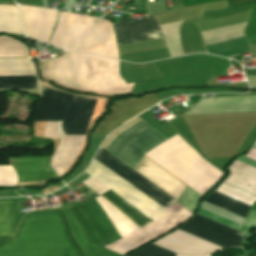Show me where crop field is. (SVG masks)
I'll return each instance as SVG.
<instances>
[{"label":"crop field","instance_id":"obj_19","mask_svg":"<svg viewBox=\"0 0 256 256\" xmlns=\"http://www.w3.org/2000/svg\"><path fill=\"white\" fill-rule=\"evenodd\" d=\"M0 32L23 34L17 6L0 5Z\"/></svg>","mask_w":256,"mask_h":256},{"label":"crop field","instance_id":"obj_27","mask_svg":"<svg viewBox=\"0 0 256 256\" xmlns=\"http://www.w3.org/2000/svg\"><path fill=\"white\" fill-rule=\"evenodd\" d=\"M246 157L256 160V150L251 148L247 153Z\"/></svg>","mask_w":256,"mask_h":256},{"label":"crop field","instance_id":"obj_17","mask_svg":"<svg viewBox=\"0 0 256 256\" xmlns=\"http://www.w3.org/2000/svg\"><path fill=\"white\" fill-rule=\"evenodd\" d=\"M134 170L176 200L187 186L145 155Z\"/></svg>","mask_w":256,"mask_h":256},{"label":"crop field","instance_id":"obj_11","mask_svg":"<svg viewBox=\"0 0 256 256\" xmlns=\"http://www.w3.org/2000/svg\"><path fill=\"white\" fill-rule=\"evenodd\" d=\"M160 100L161 98L157 94H147L140 98L117 100L112 107L111 113L101 121L94 133L107 135L109 132L120 126L122 122Z\"/></svg>","mask_w":256,"mask_h":256},{"label":"crop field","instance_id":"obj_29","mask_svg":"<svg viewBox=\"0 0 256 256\" xmlns=\"http://www.w3.org/2000/svg\"><path fill=\"white\" fill-rule=\"evenodd\" d=\"M233 218V217H232ZM235 219V218H234ZM240 221V220H239ZM242 222V221H241Z\"/></svg>","mask_w":256,"mask_h":256},{"label":"crop field","instance_id":"obj_24","mask_svg":"<svg viewBox=\"0 0 256 256\" xmlns=\"http://www.w3.org/2000/svg\"><path fill=\"white\" fill-rule=\"evenodd\" d=\"M129 256H175V254L150 244Z\"/></svg>","mask_w":256,"mask_h":256},{"label":"crop field","instance_id":"obj_13","mask_svg":"<svg viewBox=\"0 0 256 256\" xmlns=\"http://www.w3.org/2000/svg\"><path fill=\"white\" fill-rule=\"evenodd\" d=\"M113 26L117 46L164 38L153 17L133 23L121 17Z\"/></svg>","mask_w":256,"mask_h":256},{"label":"crop field","instance_id":"obj_20","mask_svg":"<svg viewBox=\"0 0 256 256\" xmlns=\"http://www.w3.org/2000/svg\"><path fill=\"white\" fill-rule=\"evenodd\" d=\"M205 202L210 203L212 205H215L217 207H220L222 209H225L229 212H232L234 214H237L242 217H246L247 212L249 210V206L242 204L238 201H235L229 197H226L222 194H219L215 191H213L205 200Z\"/></svg>","mask_w":256,"mask_h":256},{"label":"crop field","instance_id":"obj_22","mask_svg":"<svg viewBox=\"0 0 256 256\" xmlns=\"http://www.w3.org/2000/svg\"><path fill=\"white\" fill-rule=\"evenodd\" d=\"M14 235L11 201L0 202V236Z\"/></svg>","mask_w":256,"mask_h":256},{"label":"crop field","instance_id":"obj_14","mask_svg":"<svg viewBox=\"0 0 256 256\" xmlns=\"http://www.w3.org/2000/svg\"><path fill=\"white\" fill-rule=\"evenodd\" d=\"M0 75H36L28 59H0ZM36 76H0V89H35Z\"/></svg>","mask_w":256,"mask_h":256},{"label":"crop field","instance_id":"obj_8","mask_svg":"<svg viewBox=\"0 0 256 256\" xmlns=\"http://www.w3.org/2000/svg\"><path fill=\"white\" fill-rule=\"evenodd\" d=\"M165 209H167L169 212L154 220L142 229L156 237L192 214L176 202ZM142 231L140 229L105 248L123 254L152 239Z\"/></svg>","mask_w":256,"mask_h":256},{"label":"crop field","instance_id":"obj_1","mask_svg":"<svg viewBox=\"0 0 256 256\" xmlns=\"http://www.w3.org/2000/svg\"><path fill=\"white\" fill-rule=\"evenodd\" d=\"M140 120L137 117L123 125L110 134L101 146L106 149L117 135ZM153 129L142 120L116 137L106 150L134 169L145 153L168 140ZM190 147L176 135L145 155L201 195L223 172L215 169L213 164L214 167L211 166L209 161L210 164L207 163L205 158L204 161L201 155L200 158L197 151Z\"/></svg>","mask_w":256,"mask_h":256},{"label":"crop field","instance_id":"obj_7","mask_svg":"<svg viewBox=\"0 0 256 256\" xmlns=\"http://www.w3.org/2000/svg\"><path fill=\"white\" fill-rule=\"evenodd\" d=\"M96 199L122 237L140 229L105 199L101 198L100 196L96 197ZM97 201L94 198L84 203L83 206L90 214V216L110 244L120 239L121 236L114 228V226L112 225L102 208L99 206ZM83 206L82 204H80L70 209V212L72 213V215L80 225L81 229L91 242L98 244L102 247L108 245V242L101 234V232L99 231V229L97 228V226L95 225V223Z\"/></svg>","mask_w":256,"mask_h":256},{"label":"crop field","instance_id":"obj_16","mask_svg":"<svg viewBox=\"0 0 256 256\" xmlns=\"http://www.w3.org/2000/svg\"><path fill=\"white\" fill-rule=\"evenodd\" d=\"M25 34L36 40L47 42L55 24L57 10L20 6Z\"/></svg>","mask_w":256,"mask_h":256},{"label":"crop field","instance_id":"obj_25","mask_svg":"<svg viewBox=\"0 0 256 256\" xmlns=\"http://www.w3.org/2000/svg\"><path fill=\"white\" fill-rule=\"evenodd\" d=\"M98 181V180H97ZM95 179H93L92 177L89 178L88 180H86L85 183L87 186H89L90 188H92L94 191H96L98 194H102L103 192L109 190L106 187H104L102 184H100L99 182H97Z\"/></svg>","mask_w":256,"mask_h":256},{"label":"crop field","instance_id":"obj_6","mask_svg":"<svg viewBox=\"0 0 256 256\" xmlns=\"http://www.w3.org/2000/svg\"><path fill=\"white\" fill-rule=\"evenodd\" d=\"M97 101L43 86L33 121H63L65 134H85Z\"/></svg>","mask_w":256,"mask_h":256},{"label":"crop field","instance_id":"obj_26","mask_svg":"<svg viewBox=\"0 0 256 256\" xmlns=\"http://www.w3.org/2000/svg\"><path fill=\"white\" fill-rule=\"evenodd\" d=\"M253 1H255V0H228V3H229V7H231V6L249 3V2H253Z\"/></svg>","mask_w":256,"mask_h":256},{"label":"crop field","instance_id":"obj_23","mask_svg":"<svg viewBox=\"0 0 256 256\" xmlns=\"http://www.w3.org/2000/svg\"><path fill=\"white\" fill-rule=\"evenodd\" d=\"M25 56L23 44L7 36H0V57Z\"/></svg>","mask_w":256,"mask_h":256},{"label":"crop field","instance_id":"obj_18","mask_svg":"<svg viewBox=\"0 0 256 256\" xmlns=\"http://www.w3.org/2000/svg\"><path fill=\"white\" fill-rule=\"evenodd\" d=\"M19 182L42 181L59 178L49 167V156L9 158Z\"/></svg>","mask_w":256,"mask_h":256},{"label":"crop field","instance_id":"obj_4","mask_svg":"<svg viewBox=\"0 0 256 256\" xmlns=\"http://www.w3.org/2000/svg\"><path fill=\"white\" fill-rule=\"evenodd\" d=\"M49 43L119 59L112 23L95 17L60 12Z\"/></svg>","mask_w":256,"mask_h":256},{"label":"crop field","instance_id":"obj_5","mask_svg":"<svg viewBox=\"0 0 256 256\" xmlns=\"http://www.w3.org/2000/svg\"><path fill=\"white\" fill-rule=\"evenodd\" d=\"M85 172L153 220L168 212L96 160H93ZM110 190L101 196L109 200L141 228L153 221Z\"/></svg>","mask_w":256,"mask_h":256},{"label":"crop field","instance_id":"obj_21","mask_svg":"<svg viewBox=\"0 0 256 256\" xmlns=\"http://www.w3.org/2000/svg\"><path fill=\"white\" fill-rule=\"evenodd\" d=\"M205 47L208 53L222 57L249 51L245 37L216 43Z\"/></svg>","mask_w":256,"mask_h":256},{"label":"crop field","instance_id":"obj_9","mask_svg":"<svg viewBox=\"0 0 256 256\" xmlns=\"http://www.w3.org/2000/svg\"><path fill=\"white\" fill-rule=\"evenodd\" d=\"M94 159L150 197L152 200L160 204L162 207L165 208L176 201L155 185L147 181L145 178L137 174L131 168L116 159L114 156L106 152L104 149L100 148Z\"/></svg>","mask_w":256,"mask_h":256},{"label":"crop field","instance_id":"obj_28","mask_svg":"<svg viewBox=\"0 0 256 256\" xmlns=\"http://www.w3.org/2000/svg\"><path fill=\"white\" fill-rule=\"evenodd\" d=\"M176 256H182V255H176ZM207 256H210V254H209V255H207Z\"/></svg>","mask_w":256,"mask_h":256},{"label":"crop field","instance_id":"obj_2","mask_svg":"<svg viewBox=\"0 0 256 256\" xmlns=\"http://www.w3.org/2000/svg\"><path fill=\"white\" fill-rule=\"evenodd\" d=\"M85 256H121L88 241L65 205L60 206ZM60 209L26 214L17 234L0 245V256H84Z\"/></svg>","mask_w":256,"mask_h":256},{"label":"crop field","instance_id":"obj_10","mask_svg":"<svg viewBox=\"0 0 256 256\" xmlns=\"http://www.w3.org/2000/svg\"><path fill=\"white\" fill-rule=\"evenodd\" d=\"M179 230L199 237L223 248L241 246L242 233L195 214Z\"/></svg>","mask_w":256,"mask_h":256},{"label":"crop field","instance_id":"obj_12","mask_svg":"<svg viewBox=\"0 0 256 256\" xmlns=\"http://www.w3.org/2000/svg\"><path fill=\"white\" fill-rule=\"evenodd\" d=\"M59 122H45V137L57 138ZM86 136L62 135L52 157L51 167L62 176L81 150Z\"/></svg>","mask_w":256,"mask_h":256},{"label":"crop field","instance_id":"obj_3","mask_svg":"<svg viewBox=\"0 0 256 256\" xmlns=\"http://www.w3.org/2000/svg\"><path fill=\"white\" fill-rule=\"evenodd\" d=\"M118 64L119 61L99 56L65 52L58 58L49 62H43V65L41 62L40 73L42 65V74L44 76L65 86L107 93H129L134 83L126 85L118 74ZM43 75V78L61 87L68 88ZM68 89L79 92L96 93L109 97L124 95L88 92L72 88Z\"/></svg>","mask_w":256,"mask_h":256},{"label":"crop field","instance_id":"obj_15","mask_svg":"<svg viewBox=\"0 0 256 256\" xmlns=\"http://www.w3.org/2000/svg\"><path fill=\"white\" fill-rule=\"evenodd\" d=\"M152 244L174 253L192 255H204L223 249L179 230L169 233Z\"/></svg>","mask_w":256,"mask_h":256}]
</instances>
